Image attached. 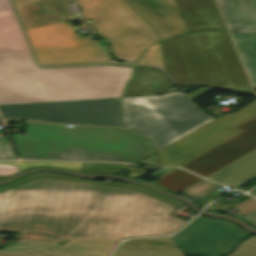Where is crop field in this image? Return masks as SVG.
<instances>
[{
	"mask_svg": "<svg viewBox=\"0 0 256 256\" xmlns=\"http://www.w3.org/2000/svg\"><path fill=\"white\" fill-rule=\"evenodd\" d=\"M176 210L128 188L35 179L0 192V231L21 240L0 256H108L121 239L176 231Z\"/></svg>",
	"mask_w": 256,
	"mask_h": 256,
	"instance_id": "obj_1",
	"label": "crop field"
},
{
	"mask_svg": "<svg viewBox=\"0 0 256 256\" xmlns=\"http://www.w3.org/2000/svg\"><path fill=\"white\" fill-rule=\"evenodd\" d=\"M132 68L40 69L10 0H0V105L121 97Z\"/></svg>",
	"mask_w": 256,
	"mask_h": 256,
	"instance_id": "obj_2",
	"label": "crop field"
},
{
	"mask_svg": "<svg viewBox=\"0 0 256 256\" xmlns=\"http://www.w3.org/2000/svg\"><path fill=\"white\" fill-rule=\"evenodd\" d=\"M21 159L114 161L134 164L150 144L129 129L27 123L13 136Z\"/></svg>",
	"mask_w": 256,
	"mask_h": 256,
	"instance_id": "obj_3",
	"label": "crop field"
},
{
	"mask_svg": "<svg viewBox=\"0 0 256 256\" xmlns=\"http://www.w3.org/2000/svg\"><path fill=\"white\" fill-rule=\"evenodd\" d=\"M162 47L166 71L179 85L207 84L254 94L227 32L190 33Z\"/></svg>",
	"mask_w": 256,
	"mask_h": 256,
	"instance_id": "obj_4",
	"label": "crop field"
},
{
	"mask_svg": "<svg viewBox=\"0 0 256 256\" xmlns=\"http://www.w3.org/2000/svg\"><path fill=\"white\" fill-rule=\"evenodd\" d=\"M124 123L163 149L214 120L182 92L122 98Z\"/></svg>",
	"mask_w": 256,
	"mask_h": 256,
	"instance_id": "obj_5",
	"label": "crop field"
},
{
	"mask_svg": "<svg viewBox=\"0 0 256 256\" xmlns=\"http://www.w3.org/2000/svg\"><path fill=\"white\" fill-rule=\"evenodd\" d=\"M248 235L232 223L199 217L174 236L127 241L113 256H188L175 244L189 254H227ZM229 256H256V237L241 243Z\"/></svg>",
	"mask_w": 256,
	"mask_h": 256,
	"instance_id": "obj_6",
	"label": "crop field"
},
{
	"mask_svg": "<svg viewBox=\"0 0 256 256\" xmlns=\"http://www.w3.org/2000/svg\"><path fill=\"white\" fill-rule=\"evenodd\" d=\"M76 1L84 18L95 20L87 24L90 34H93L91 27H95L99 35L110 39L117 59L136 62L147 47L158 42L157 33L126 1Z\"/></svg>",
	"mask_w": 256,
	"mask_h": 256,
	"instance_id": "obj_7",
	"label": "crop field"
},
{
	"mask_svg": "<svg viewBox=\"0 0 256 256\" xmlns=\"http://www.w3.org/2000/svg\"><path fill=\"white\" fill-rule=\"evenodd\" d=\"M6 119L125 127L120 98L0 106Z\"/></svg>",
	"mask_w": 256,
	"mask_h": 256,
	"instance_id": "obj_8",
	"label": "crop field"
},
{
	"mask_svg": "<svg viewBox=\"0 0 256 256\" xmlns=\"http://www.w3.org/2000/svg\"><path fill=\"white\" fill-rule=\"evenodd\" d=\"M25 31L40 65L109 61L88 37H77L65 22Z\"/></svg>",
	"mask_w": 256,
	"mask_h": 256,
	"instance_id": "obj_9",
	"label": "crop field"
},
{
	"mask_svg": "<svg viewBox=\"0 0 256 256\" xmlns=\"http://www.w3.org/2000/svg\"><path fill=\"white\" fill-rule=\"evenodd\" d=\"M254 115L256 100L238 112L226 114L160 151V166H181L187 163L240 132L234 127Z\"/></svg>",
	"mask_w": 256,
	"mask_h": 256,
	"instance_id": "obj_10",
	"label": "crop field"
},
{
	"mask_svg": "<svg viewBox=\"0 0 256 256\" xmlns=\"http://www.w3.org/2000/svg\"><path fill=\"white\" fill-rule=\"evenodd\" d=\"M243 130L181 166L206 177L256 149V116L235 127Z\"/></svg>",
	"mask_w": 256,
	"mask_h": 256,
	"instance_id": "obj_11",
	"label": "crop field"
},
{
	"mask_svg": "<svg viewBox=\"0 0 256 256\" xmlns=\"http://www.w3.org/2000/svg\"><path fill=\"white\" fill-rule=\"evenodd\" d=\"M157 31L161 40L187 32L175 0H127Z\"/></svg>",
	"mask_w": 256,
	"mask_h": 256,
	"instance_id": "obj_12",
	"label": "crop field"
},
{
	"mask_svg": "<svg viewBox=\"0 0 256 256\" xmlns=\"http://www.w3.org/2000/svg\"><path fill=\"white\" fill-rule=\"evenodd\" d=\"M70 0H14L25 29L74 19Z\"/></svg>",
	"mask_w": 256,
	"mask_h": 256,
	"instance_id": "obj_13",
	"label": "crop field"
},
{
	"mask_svg": "<svg viewBox=\"0 0 256 256\" xmlns=\"http://www.w3.org/2000/svg\"><path fill=\"white\" fill-rule=\"evenodd\" d=\"M189 31L226 29L214 0H176Z\"/></svg>",
	"mask_w": 256,
	"mask_h": 256,
	"instance_id": "obj_14",
	"label": "crop field"
},
{
	"mask_svg": "<svg viewBox=\"0 0 256 256\" xmlns=\"http://www.w3.org/2000/svg\"><path fill=\"white\" fill-rule=\"evenodd\" d=\"M176 86L162 70L138 66L133 79L128 83L123 97L154 96L159 92Z\"/></svg>",
	"mask_w": 256,
	"mask_h": 256,
	"instance_id": "obj_15",
	"label": "crop field"
},
{
	"mask_svg": "<svg viewBox=\"0 0 256 256\" xmlns=\"http://www.w3.org/2000/svg\"><path fill=\"white\" fill-rule=\"evenodd\" d=\"M231 31L256 33V0H217Z\"/></svg>",
	"mask_w": 256,
	"mask_h": 256,
	"instance_id": "obj_16",
	"label": "crop field"
},
{
	"mask_svg": "<svg viewBox=\"0 0 256 256\" xmlns=\"http://www.w3.org/2000/svg\"><path fill=\"white\" fill-rule=\"evenodd\" d=\"M254 177L256 150L206 178L236 188Z\"/></svg>",
	"mask_w": 256,
	"mask_h": 256,
	"instance_id": "obj_17",
	"label": "crop field"
},
{
	"mask_svg": "<svg viewBox=\"0 0 256 256\" xmlns=\"http://www.w3.org/2000/svg\"><path fill=\"white\" fill-rule=\"evenodd\" d=\"M250 79L256 86V35L231 33Z\"/></svg>",
	"mask_w": 256,
	"mask_h": 256,
	"instance_id": "obj_18",
	"label": "crop field"
},
{
	"mask_svg": "<svg viewBox=\"0 0 256 256\" xmlns=\"http://www.w3.org/2000/svg\"><path fill=\"white\" fill-rule=\"evenodd\" d=\"M39 177H45V178H53V179H61V180H68V181H76V182H84V183H92V184H102V185H112V186H122V187H128L130 189H133L135 191H138L140 193H143L145 195H148L150 197H153L155 199H158L160 201H163L165 203H168V204H171L173 206H176L178 208H180L181 204L173 201V200H170V199H167V198H163L145 188H142V187H138V186H134V185H130V184H126L124 183V185H121V184H116V183H111V182H99V181H87V180H82V179H77V178H72V177H67V176H62V175H51V174H39V175H34V176H30V177H27L11 186H5V187H0V191H3V190H7V189H10L12 187H15V186H18V185H21L23 183H26L30 180H33L35 178H39Z\"/></svg>",
	"mask_w": 256,
	"mask_h": 256,
	"instance_id": "obj_19",
	"label": "crop field"
},
{
	"mask_svg": "<svg viewBox=\"0 0 256 256\" xmlns=\"http://www.w3.org/2000/svg\"><path fill=\"white\" fill-rule=\"evenodd\" d=\"M201 179L202 178L196 175L178 169L158 179L153 183L168 191L179 192L191 186L192 184L198 182Z\"/></svg>",
	"mask_w": 256,
	"mask_h": 256,
	"instance_id": "obj_20",
	"label": "crop field"
},
{
	"mask_svg": "<svg viewBox=\"0 0 256 256\" xmlns=\"http://www.w3.org/2000/svg\"><path fill=\"white\" fill-rule=\"evenodd\" d=\"M222 187L203 179L181 193L190 199L198 201Z\"/></svg>",
	"mask_w": 256,
	"mask_h": 256,
	"instance_id": "obj_21",
	"label": "crop field"
},
{
	"mask_svg": "<svg viewBox=\"0 0 256 256\" xmlns=\"http://www.w3.org/2000/svg\"><path fill=\"white\" fill-rule=\"evenodd\" d=\"M125 167H127V165L106 163H83L81 171H88L91 173H115Z\"/></svg>",
	"mask_w": 256,
	"mask_h": 256,
	"instance_id": "obj_22",
	"label": "crop field"
},
{
	"mask_svg": "<svg viewBox=\"0 0 256 256\" xmlns=\"http://www.w3.org/2000/svg\"><path fill=\"white\" fill-rule=\"evenodd\" d=\"M24 168L36 166H53L63 169L80 171L82 163H69V162H40V161H22Z\"/></svg>",
	"mask_w": 256,
	"mask_h": 256,
	"instance_id": "obj_23",
	"label": "crop field"
},
{
	"mask_svg": "<svg viewBox=\"0 0 256 256\" xmlns=\"http://www.w3.org/2000/svg\"><path fill=\"white\" fill-rule=\"evenodd\" d=\"M0 159H16L9 142L5 137H0Z\"/></svg>",
	"mask_w": 256,
	"mask_h": 256,
	"instance_id": "obj_24",
	"label": "crop field"
},
{
	"mask_svg": "<svg viewBox=\"0 0 256 256\" xmlns=\"http://www.w3.org/2000/svg\"><path fill=\"white\" fill-rule=\"evenodd\" d=\"M242 218L256 226V210Z\"/></svg>",
	"mask_w": 256,
	"mask_h": 256,
	"instance_id": "obj_25",
	"label": "crop field"
},
{
	"mask_svg": "<svg viewBox=\"0 0 256 256\" xmlns=\"http://www.w3.org/2000/svg\"><path fill=\"white\" fill-rule=\"evenodd\" d=\"M254 209H256V201L251 203V204H249L248 206L240 209L239 211H240V213H243L245 215V214L251 212Z\"/></svg>",
	"mask_w": 256,
	"mask_h": 256,
	"instance_id": "obj_26",
	"label": "crop field"
},
{
	"mask_svg": "<svg viewBox=\"0 0 256 256\" xmlns=\"http://www.w3.org/2000/svg\"><path fill=\"white\" fill-rule=\"evenodd\" d=\"M99 44V46L106 52L108 53L109 49H108V43L105 40H101L97 42Z\"/></svg>",
	"mask_w": 256,
	"mask_h": 256,
	"instance_id": "obj_27",
	"label": "crop field"
},
{
	"mask_svg": "<svg viewBox=\"0 0 256 256\" xmlns=\"http://www.w3.org/2000/svg\"><path fill=\"white\" fill-rule=\"evenodd\" d=\"M0 163H6V164H13V165H17L18 166V168L22 171V170H24V168H20V167H23V165H22V162L21 161H16V162H0Z\"/></svg>",
	"mask_w": 256,
	"mask_h": 256,
	"instance_id": "obj_28",
	"label": "crop field"
},
{
	"mask_svg": "<svg viewBox=\"0 0 256 256\" xmlns=\"http://www.w3.org/2000/svg\"><path fill=\"white\" fill-rule=\"evenodd\" d=\"M253 200H254V199H250V200H248V201H246V202L240 204V205L237 206L236 208H239V207H241V206H243V205H245V204H247V203H249V202H251V201H253Z\"/></svg>",
	"mask_w": 256,
	"mask_h": 256,
	"instance_id": "obj_29",
	"label": "crop field"
},
{
	"mask_svg": "<svg viewBox=\"0 0 256 256\" xmlns=\"http://www.w3.org/2000/svg\"><path fill=\"white\" fill-rule=\"evenodd\" d=\"M250 194L256 197V188L253 191H251Z\"/></svg>",
	"mask_w": 256,
	"mask_h": 256,
	"instance_id": "obj_30",
	"label": "crop field"
},
{
	"mask_svg": "<svg viewBox=\"0 0 256 256\" xmlns=\"http://www.w3.org/2000/svg\"><path fill=\"white\" fill-rule=\"evenodd\" d=\"M2 119H5V116L4 115H1Z\"/></svg>",
	"mask_w": 256,
	"mask_h": 256,
	"instance_id": "obj_31",
	"label": "crop field"
}]
</instances>
